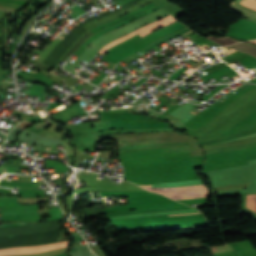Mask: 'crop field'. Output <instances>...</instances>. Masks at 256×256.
Instances as JSON below:
<instances>
[{"instance_id":"1","label":"crop field","mask_w":256,"mask_h":256,"mask_svg":"<svg viewBox=\"0 0 256 256\" xmlns=\"http://www.w3.org/2000/svg\"><path fill=\"white\" fill-rule=\"evenodd\" d=\"M149 191L162 193L174 200L188 199V198H202L208 197V192L204 185H193L178 188H151V185L142 186Z\"/></svg>"},{"instance_id":"2","label":"crop field","mask_w":256,"mask_h":256,"mask_svg":"<svg viewBox=\"0 0 256 256\" xmlns=\"http://www.w3.org/2000/svg\"><path fill=\"white\" fill-rule=\"evenodd\" d=\"M174 21H176V20H175L172 16L169 15V16H167L166 18H164V19H162V20H159V21H157V22H155V23H152V24H150V25H148V26H145V27H143V28H141V29H139V30H137V31H135V32H133V33L127 35V36H124V37H122V38H120V39H117V40H115V41H113V42L107 44L106 46H104V47L98 52V54L102 55V54H103L106 50H108L109 48H111V47L117 45L118 43H120V42H122V41H124V40H126V39H128V38H130V37H132V36H134V35H136V34H138V33L140 34L141 37H143V36H145V35L151 33L152 31H154V30H156V29H158V28H160V27H162V26H165V25H167V24H170V23H172V22H174Z\"/></svg>"},{"instance_id":"3","label":"crop field","mask_w":256,"mask_h":256,"mask_svg":"<svg viewBox=\"0 0 256 256\" xmlns=\"http://www.w3.org/2000/svg\"><path fill=\"white\" fill-rule=\"evenodd\" d=\"M68 242H60L40 247H25V248H9V249H0V256L3 255H13V254H25V253H38L47 251L54 248H60L67 246Z\"/></svg>"},{"instance_id":"4","label":"crop field","mask_w":256,"mask_h":256,"mask_svg":"<svg viewBox=\"0 0 256 256\" xmlns=\"http://www.w3.org/2000/svg\"><path fill=\"white\" fill-rule=\"evenodd\" d=\"M193 184H203L202 180H192V181H180V182H172V183H163V184H155L152 187H177V186H185V185H193Z\"/></svg>"},{"instance_id":"5","label":"crop field","mask_w":256,"mask_h":256,"mask_svg":"<svg viewBox=\"0 0 256 256\" xmlns=\"http://www.w3.org/2000/svg\"><path fill=\"white\" fill-rule=\"evenodd\" d=\"M228 47L238 49V50H241V51H244L246 53L256 56V46L255 45H251V44L243 42V43L228 46Z\"/></svg>"},{"instance_id":"6","label":"crop field","mask_w":256,"mask_h":256,"mask_svg":"<svg viewBox=\"0 0 256 256\" xmlns=\"http://www.w3.org/2000/svg\"><path fill=\"white\" fill-rule=\"evenodd\" d=\"M232 9H234V10H236V11H238V12H240V13H242V14H244L246 17H248L249 19H251V20H253V21H255L256 22V13H254V12H252V11H249V10H247V9H245V8H243V7H241L239 4H237L236 2L235 3H232V5L230 6ZM247 18V19H248ZM248 19V20H249ZM250 20V21H251ZM252 21V22H253Z\"/></svg>"},{"instance_id":"7","label":"crop field","mask_w":256,"mask_h":256,"mask_svg":"<svg viewBox=\"0 0 256 256\" xmlns=\"http://www.w3.org/2000/svg\"><path fill=\"white\" fill-rule=\"evenodd\" d=\"M245 208L256 213V194L246 197Z\"/></svg>"},{"instance_id":"8","label":"crop field","mask_w":256,"mask_h":256,"mask_svg":"<svg viewBox=\"0 0 256 256\" xmlns=\"http://www.w3.org/2000/svg\"><path fill=\"white\" fill-rule=\"evenodd\" d=\"M208 38L211 39V40L217 41L218 43L223 44V45H229V44H232V43L240 42V41L233 40L229 37L213 38L212 36H209Z\"/></svg>"},{"instance_id":"9","label":"crop field","mask_w":256,"mask_h":256,"mask_svg":"<svg viewBox=\"0 0 256 256\" xmlns=\"http://www.w3.org/2000/svg\"><path fill=\"white\" fill-rule=\"evenodd\" d=\"M240 3L256 10V0H245V1L240 2Z\"/></svg>"},{"instance_id":"10","label":"crop field","mask_w":256,"mask_h":256,"mask_svg":"<svg viewBox=\"0 0 256 256\" xmlns=\"http://www.w3.org/2000/svg\"><path fill=\"white\" fill-rule=\"evenodd\" d=\"M251 43H255L256 44V40H254V41H250Z\"/></svg>"}]
</instances>
